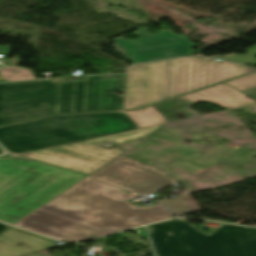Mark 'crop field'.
Wrapping results in <instances>:
<instances>
[{"mask_svg": "<svg viewBox=\"0 0 256 256\" xmlns=\"http://www.w3.org/2000/svg\"><path fill=\"white\" fill-rule=\"evenodd\" d=\"M215 60L195 57L171 59L167 99L256 71V68H242L239 64Z\"/></svg>", "mask_w": 256, "mask_h": 256, "instance_id": "d8731c3e", "label": "crop field"}, {"mask_svg": "<svg viewBox=\"0 0 256 256\" xmlns=\"http://www.w3.org/2000/svg\"><path fill=\"white\" fill-rule=\"evenodd\" d=\"M160 127L162 125L47 148L22 156L89 175L123 152L115 148L107 150L90 144L105 140L115 141L114 146L129 144L133 140L146 138Z\"/></svg>", "mask_w": 256, "mask_h": 256, "instance_id": "dd49c442", "label": "crop field"}, {"mask_svg": "<svg viewBox=\"0 0 256 256\" xmlns=\"http://www.w3.org/2000/svg\"><path fill=\"white\" fill-rule=\"evenodd\" d=\"M51 80L0 84V125L48 115Z\"/></svg>", "mask_w": 256, "mask_h": 256, "instance_id": "5a996713", "label": "crop field"}, {"mask_svg": "<svg viewBox=\"0 0 256 256\" xmlns=\"http://www.w3.org/2000/svg\"><path fill=\"white\" fill-rule=\"evenodd\" d=\"M189 105L191 104L176 97V98L152 105V107H154L167 121L173 122V121L194 118L184 110V108ZM168 108H171V109L168 110ZM168 112H170L171 114H168ZM173 117H176V119H172Z\"/></svg>", "mask_w": 256, "mask_h": 256, "instance_id": "5142ce71", "label": "crop field"}, {"mask_svg": "<svg viewBox=\"0 0 256 256\" xmlns=\"http://www.w3.org/2000/svg\"><path fill=\"white\" fill-rule=\"evenodd\" d=\"M254 112H256V105L250 107Z\"/></svg>", "mask_w": 256, "mask_h": 256, "instance_id": "a9b5d70f", "label": "crop field"}, {"mask_svg": "<svg viewBox=\"0 0 256 256\" xmlns=\"http://www.w3.org/2000/svg\"><path fill=\"white\" fill-rule=\"evenodd\" d=\"M179 133L180 132L162 127L149 136L173 143L175 145L169 146L158 152L146 149L127 157L147 165H151L155 163L154 161L150 160L151 158L162 155L175 160L170 162V166L197 172L209 168L219 160L245 163L256 156V150L230 146H218L208 153L202 155L198 153V149L179 143Z\"/></svg>", "mask_w": 256, "mask_h": 256, "instance_id": "e52e79f7", "label": "crop field"}, {"mask_svg": "<svg viewBox=\"0 0 256 256\" xmlns=\"http://www.w3.org/2000/svg\"><path fill=\"white\" fill-rule=\"evenodd\" d=\"M133 232H135L136 234L140 235L141 237H143L144 239L148 240L147 238V234L144 230V228H138V229H132Z\"/></svg>", "mask_w": 256, "mask_h": 256, "instance_id": "dafd665d", "label": "crop field"}, {"mask_svg": "<svg viewBox=\"0 0 256 256\" xmlns=\"http://www.w3.org/2000/svg\"><path fill=\"white\" fill-rule=\"evenodd\" d=\"M245 52H247V55H235L233 53L223 57V59L235 61V62H240L248 65H254L256 64V45L246 49Z\"/></svg>", "mask_w": 256, "mask_h": 256, "instance_id": "bc2a9ffb", "label": "crop field"}, {"mask_svg": "<svg viewBox=\"0 0 256 256\" xmlns=\"http://www.w3.org/2000/svg\"><path fill=\"white\" fill-rule=\"evenodd\" d=\"M126 115L123 112L58 115L4 126L0 127V144L16 155L139 129Z\"/></svg>", "mask_w": 256, "mask_h": 256, "instance_id": "ac0d7876", "label": "crop field"}, {"mask_svg": "<svg viewBox=\"0 0 256 256\" xmlns=\"http://www.w3.org/2000/svg\"><path fill=\"white\" fill-rule=\"evenodd\" d=\"M126 74L85 77L86 82L52 84L50 114L123 110Z\"/></svg>", "mask_w": 256, "mask_h": 256, "instance_id": "f4fd0767", "label": "crop field"}, {"mask_svg": "<svg viewBox=\"0 0 256 256\" xmlns=\"http://www.w3.org/2000/svg\"><path fill=\"white\" fill-rule=\"evenodd\" d=\"M138 141H140V140L133 141V143H132V144H129V145L117 146V147H115V148H119V149L125 150V149H127L128 147H130V146L136 144ZM105 142H108V143H110V144H111V143H114V142H111V141H105ZM103 143H104V142L97 143V144H93V145L100 146V147L107 148V149H110V148L114 147L112 144H111L110 147H108V146L103 145Z\"/></svg>", "mask_w": 256, "mask_h": 256, "instance_id": "214f88e0", "label": "crop field"}, {"mask_svg": "<svg viewBox=\"0 0 256 256\" xmlns=\"http://www.w3.org/2000/svg\"><path fill=\"white\" fill-rule=\"evenodd\" d=\"M85 177L19 157H0V220L16 224Z\"/></svg>", "mask_w": 256, "mask_h": 256, "instance_id": "34b2d1b8", "label": "crop field"}, {"mask_svg": "<svg viewBox=\"0 0 256 256\" xmlns=\"http://www.w3.org/2000/svg\"><path fill=\"white\" fill-rule=\"evenodd\" d=\"M240 92L243 93L244 95L256 100V90H255V88L247 89V90L240 91ZM246 92H250L251 94H247Z\"/></svg>", "mask_w": 256, "mask_h": 256, "instance_id": "92a150f3", "label": "crop field"}, {"mask_svg": "<svg viewBox=\"0 0 256 256\" xmlns=\"http://www.w3.org/2000/svg\"><path fill=\"white\" fill-rule=\"evenodd\" d=\"M251 87H256V72L179 97L191 104L206 101L231 110L256 104L238 92Z\"/></svg>", "mask_w": 256, "mask_h": 256, "instance_id": "22f410ed", "label": "crop field"}, {"mask_svg": "<svg viewBox=\"0 0 256 256\" xmlns=\"http://www.w3.org/2000/svg\"><path fill=\"white\" fill-rule=\"evenodd\" d=\"M170 59L133 65L127 70L124 110L166 99Z\"/></svg>", "mask_w": 256, "mask_h": 256, "instance_id": "28ad6ade", "label": "crop field"}, {"mask_svg": "<svg viewBox=\"0 0 256 256\" xmlns=\"http://www.w3.org/2000/svg\"><path fill=\"white\" fill-rule=\"evenodd\" d=\"M163 175L150 166L120 156L89 176L146 196L176 182Z\"/></svg>", "mask_w": 256, "mask_h": 256, "instance_id": "d1516ede", "label": "crop field"}, {"mask_svg": "<svg viewBox=\"0 0 256 256\" xmlns=\"http://www.w3.org/2000/svg\"><path fill=\"white\" fill-rule=\"evenodd\" d=\"M135 198L91 178H85L16 226L61 240H84L91 227L125 230L171 217L160 205L134 208Z\"/></svg>", "mask_w": 256, "mask_h": 256, "instance_id": "8a807250", "label": "crop field"}, {"mask_svg": "<svg viewBox=\"0 0 256 256\" xmlns=\"http://www.w3.org/2000/svg\"><path fill=\"white\" fill-rule=\"evenodd\" d=\"M0 47L3 48V51L0 54V58L6 65L4 68L0 70V73L4 78L5 82L35 79L31 70L17 66H12L9 63V61L6 60V56L9 52L10 47Z\"/></svg>", "mask_w": 256, "mask_h": 256, "instance_id": "d9b57169", "label": "crop field"}, {"mask_svg": "<svg viewBox=\"0 0 256 256\" xmlns=\"http://www.w3.org/2000/svg\"><path fill=\"white\" fill-rule=\"evenodd\" d=\"M4 151L0 148V154H2Z\"/></svg>", "mask_w": 256, "mask_h": 256, "instance_id": "4177f3b9", "label": "crop field"}, {"mask_svg": "<svg viewBox=\"0 0 256 256\" xmlns=\"http://www.w3.org/2000/svg\"><path fill=\"white\" fill-rule=\"evenodd\" d=\"M141 128L168 123L155 109L151 106L139 109L137 111L124 112Z\"/></svg>", "mask_w": 256, "mask_h": 256, "instance_id": "733c2abd", "label": "crop field"}, {"mask_svg": "<svg viewBox=\"0 0 256 256\" xmlns=\"http://www.w3.org/2000/svg\"><path fill=\"white\" fill-rule=\"evenodd\" d=\"M10 226L4 225L0 223V234L7 230Z\"/></svg>", "mask_w": 256, "mask_h": 256, "instance_id": "00972430", "label": "crop field"}, {"mask_svg": "<svg viewBox=\"0 0 256 256\" xmlns=\"http://www.w3.org/2000/svg\"><path fill=\"white\" fill-rule=\"evenodd\" d=\"M163 32L148 34L147 28L139 29L134 34L139 38L127 41L121 37L112 39L117 45L112 46L124 59L143 62L163 58L193 54L194 45L184 35H175L166 25L159 27Z\"/></svg>", "mask_w": 256, "mask_h": 256, "instance_id": "3316defc", "label": "crop field"}, {"mask_svg": "<svg viewBox=\"0 0 256 256\" xmlns=\"http://www.w3.org/2000/svg\"><path fill=\"white\" fill-rule=\"evenodd\" d=\"M147 231L156 256H256L252 228L221 224L207 236L181 219L149 225Z\"/></svg>", "mask_w": 256, "mask_h": 256, "instance_id": "412701ff", "label": "crop field"}, {"mask_svg": "<svg viewBox=\"0 0 256 256\" xmlns=\"http://www.w3.org/2000/svg\"><path fill=\"white\" fill-rule=\"evenodd\" d=\"M57 242L11 227L0 235V256H33Z\"/></svg>", "mask_w": 256, "mask_h": 256, "instance_id": "cbeb9de0", "label": "crop field"}, {"mask_svg": "<svg viewBox=\"0 0 256 256\" xmlns=\"http://www.w3.org/2000/svg\"><path fill=\"white\" fill-rule=\"evenodd\" d=\"M160 203L177 216L186 214L192 211H196L194 208L189 206L180 198L169 199V200L161 201Z\"/></svg>", "mask_w": 256, "mask_h": 256, "instance_id": "4a817a6b", "label": "crop field"}]
</instances>
